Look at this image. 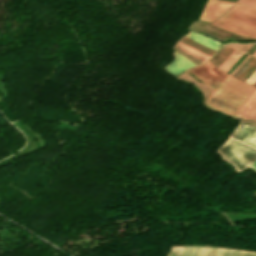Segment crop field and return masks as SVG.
<instances>
[{"instance_id":"obj_3","label":"crop field","mask_w":256,"mask_h":256,"mask_svg":"<svg viewBox=\"0 0 256 256\" xmlns=\"http://www.w3.org/2000/svg\"><path fill=\"white\" fill-rule=\"evenodd\" d=\"M168 256H256V253L212 247L178 246L172 247Z\"/></svg>"},{"instance_id":"obj_6","label":"crop field","mask_w":256,"mask_h":256,"mask_svg":"<svg viewBox=\"0 0 256 256\" xmlns=\"http://www.w3.org/2000/svg\"><path fill=\"white\" fill-rule=\"evenodd\" d=\"M230 137L256 148V126L239 122Z\"/></svg>"},{"instance_id":"obj_1","label":"crop field","mask_w":256,"mask_h":256,"mask_svg":"<svg viewBox=\"0 0 256 256\" xmlns=\"http://www.w3.org/2000/svg\"><path fill=\"white\" fill-rule=\"evenodd\" d=\"M187 71H189L190 73H192L193 75L201 79L203 82H205L206 84L215 89L211 93V95L206 99L204 104L210 108L221 111L233 117L236 116L239 110L243 107V105L247 102V100L255 91V89L227 76L209 62L191 68ZM215 92L236 99L243 103L240 106L241 102L222 96ZM210 99L214 102L220 103L235 110H237L239 106L240 107L237 111H235L220 104L214 103L210 101Z\"/></svg>"},{"instance_id":"obj_5","label":"crop field","mask_w":256,"mask_h":256,"mask_svg":"<svg viewBox=\"0 0 256 256\" xmlns=\"http://www.w3.org/2000/svg\"><path fill=\"white\" fill-rule=\"evenodd\" d=\"M232 5L224 1L208 0L199 19L211 23Z\"/></svg>"},{"instance_id":"obj_12","label":"crop field","mask_w":256,"mask_h":256,"mask_svg":"<svg viewBox=\"0 0 256 256\" xmlns=\"http://www.w3.org/2000/svg\"><path fill=\"white\" fill-rule=\"evenodd\" d=\"M250 168L256 170V161L252 164V166Z\"/></svg>"},{"instance_id":"obj_7","label":"crop field","mask_w":256,"mask_h":256,"mask_svg":"<svg viewBox=\"0 0 256 256\" xmlns=\"http://www.w3.org/2000/svg\"><path fill=\"white\" fill-rule=\"evenodd\" d=\"M172 54L174 55V60L168 63L167 66L165 65L166 67L163 70L174 76L180 71L196 65L175 51Z\"/></svg>"},{"instance_id":"obj_8","label":"crop field","mask_w":256,"mask_h":256,"mask_svg":"<svg viewBox=\"0 0 256 256\" xmlns=\"http://www.w3.org/2000/svg\"><path fill=\"white\" fill-rule=\"evenodd\" d=\"M236 118L256 124V91L237 114Z\"/></svg>"},{"instance_id":"obj_10","label":"crop field","mask_w":256,"mask_h":256,"mask_svg":"<svg viewBox=\"0 0 256 256\" xmlns=\"http://www.w3.org/2000/svg\"><path fill=\"white\" fill-rule=\"evenodd\" d=\"M185 36H187V37H189L193 40H196V41H198V42H200V43H202V44H204V45H206V46H208V47H210L214 50L218 49L217 46L219 45V43H217L215 41H212L210 39H207V38H205L203 36H200L198 34H195L191 31H189L187 34H185Z\"/></svg>"},{"instance_id":"obj_9","label":"crop field","mask_w":256,"mask_h":256,"mask_svg":"<svg viewBox=\"0 0 256 256\" xmlns=\"http://www.w3.org/2000/svg\"><path fill=\"white\" fill-rule=\"evenodd\" d=\"M211 25H214V26H217V27H220V28L238 33V34H242V35H246V36H249V37L256 38V32L255 31L248 30V29H245V28H241V27H238V26H235V25H231V24L224 23V22L217 21V20L212 22Z\"/></svg>"},{"instance_id":"obj_11","label":"crop field","mask_w":256,"mask_h":256,"mask_svg":"<svg viewBox=\"0 0 256 256\" xmlns=\"http://www.w3.org/2000/svg\"><path fill=\"white\" fill-rule=\"evenodd\" d=\"M238 2L256 7V0H239Z\"/></svg>"},{"instance_id":"obj_2","label":"crop field","mask_w":256,"mask_h":256,"mask_svg":"<svg viewBox=\"0 0 256 256\" xmlns=\"http://www.w3.org/2000/svg\"><path fill=\"white\" fill-rule=\"evenodd\" d=\"M216 152L239 173L249 168L256 159V149L230 138Z\"/></svg>"},{"instance_id":"obj_4","label":"crop field","mask_w":256,"mask_h":256,"mask_svg":"<svg viewBox=\"0 0 256 256\" xmlns=\"http://www.w3.org/2000/svg\"><path fill=\"white\" fill-rule=\"evenodd\" d=\"M217 20L256 31V9L236 4Z\"/></svg>"},{"instance_id":"obj_13","label":"crop field","mask_w":256,"mask_h":256,"mask_svg":"<svg viewBox=\"0 0 256 256\" xmlns=\"http://www.w3.org/2000/svg\"><path fill=\"white\" fill-rule=\"evenodd\" d=\"M256 193V192H255Z\"/></svg>"}]
</instances>
